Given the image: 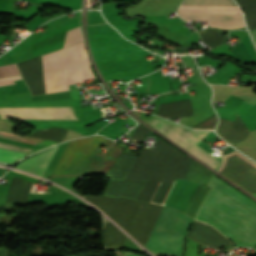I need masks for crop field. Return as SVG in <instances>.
<instances>
[{
  "label": "crop field",
  "instance_id": "27",
  "mask_svg": "<svg viewBox=\"0 0 256 256\" xmlns=\"http://www.w3.org/2000/svg\"><path fill=\"white\" fill-rule=\"evenodd\" d=\"M253 196H255V197H256V194H253Z\"/></svg>",
  "mask_w": 256,
  "mask_h": 256
},
{
  "label": "crop field",
  "instance_id": "19",
  "mask_svg": "<svg viewBox=\"0 0 256 256\" xmlns=\"http://www.w3.org/2000/svg\"><path fill=\"white\" fill-rule=\"evenodd\" d=\"M24 155V153L1 149L0 148V161L12 163L18 157Z\"/></svg>",
  "mask_w": 256,
  "mask_h": 256
},
{
  "label": "crop field",
  "instance_id": "11",
  "mask_svg": "<svg viewBox=\"0 0 256 256\" xmlns=\"http://www.w3.org/2000/svg\"><path fill=\"white\" fill-rule=\"evenodd\" d=\"M57 147L58 146L22 161L16 166V168L34 173L42 177Z\"/></svg>",
  "mask_w": 256,
  "mask_h": 256
},
{
  "label": "crop field",
  "instance_id": "20",
  "mask_svg": "<svg viewBox=\"0 0 256 256\" xmlns=\"http://www.w3.org/2000/svg\"><path fill=\"white\" fill-rule=\"evenodd\" d=\"M151 133L147 128L143 127L142 125H139L134 134L131 137L130 142L132 143H140L143 142L144 135Z\"/></svg>",
  "mask_w": 256,
  "mask_h": 256
},
{
  "label": "crop field",
  "instance_id": "1",
  "mask_svg": "<svg viewBox=\"0 0 256 256\" xmlns=\"http://www.w3.org/2000/svg\"><path fill=\"white\" fill-rule=\"evenodd\" d=\"M208 186L212 189L196 219L215 227L235 246L256 245V204L214 176Z\"/></svg>",
  "mask_w": 256,
  "mask_h": 256
},
{
  "label": "crop field",
  "instance_id": "14",
  "mask_svg": "<svg viewBox=\"0 0 256 256\" xmlns=\"http://www.w3.org/2000/svg\"><path fill=\"white\" fill-rule=\"evenodd\" d=\"M236 2L245 12L249 29H256V0H236Z\"/></svg>",
  "mask_w": 256,
  "mask_h": 256
},
{
  "label": "crop field",
  "instance_id": "16",
  "mask_svg": "<svg viewBox=\"0 0 256 256\" xmlns=\"http://www.w3.org/2000/svg\"><path fill=\"white\" fill-rule=\"evenodd\" d=\"M66 131L67 130L65 129L50 128V129L36 130L31 136L61 142Z\"/></svg>",
  "mask_w": 256,
  "mask_h": 256
},
{
  "label": "crop field",
  "instance_id": "13",
  "mask_svg": "<svg viewBox=\"0 0 256 256\" xmlns=\"http://www.w3.org/2000/svg\"><path fill=\"white\" fill-rule=\"evenodd\" d=\"M178 12L241 13L238 7L180 6Z\"/></svg>",
  "mask_w": 256,
  "mask_h": 256
},
{
  "label": "crop field",
  "instance_id": "24",
  "mask_svg": "<svg viewBox=\"0 0 256 256\" xmlns=\"http://www.w3.org/2000/svg\"><path fill=\"white\" fill-rule=\"evenodd\" d=\"M18 79H21V77L17 76V77L1 78L0 79V86L15 84L13 80H18Z\"/></svg>",
  "mask_w": 256,
  "mask_h": 256
},
{
  "label": "crop field",
  "instance_id": "23",
  "mask_svg": "<svg viewBox=\"0 0 256 256\" xmlns=\"http://www.w3.org/2000/svg\"><path fill=\"white\" fill-rule=\"evenodd\" d=\"M0 137L27 142L22 137L16 136V135L10 134V133L0 132ZM28 143H31V142H28ZM33 144H36V143H33Z\"/></svg>",
  "mask_w": 256,
  "mask_h": 256
},
{
  "label": "crop field",
  "instance_id": "26",
  "mask_svg": "<svg viewBox=\"0 0 256 256\" xmlns=\"http://www.w3.org/2000/svg\"><path fill=\"white\" fill-rule=\"evenodd\" d=\"M126 256H137L135 254H130V253H127Z\"/></svg>",
  "mask_w": 256,
  "mask_h": 256
},
{
  "label": "crop field",
  "instance_id": "18",
  "mask_svg": "<svg viewBox=\"0 0 256 256\" xmlns=\"http://www.w3.org/2000/svg\"><path fill=\"white\" fill-rule=\"evenodd\" d=\"M82 40L83 39L81 35V30H80V27L78 26L76 28H73L67 31L63 47L81 42Z\"/></svg>",
  "mask_w": 256,
  "mask_h": 256
},
{
  "label": "crop field",
  "instance_id": "22",
  "mask_svg": "<svg viewBox=\"0 0 256 256\" xmlns=\"http://www.w3.org/2000/svg\"><path fill=\"white\" fill-rule=\"evenodd\" d=\"M0 147L6 148V149H11V150H16V151H20V152H24V153L33 151V149L19 147V146L10 145V144H5V143H1V142H0Z\"/></svg>",
  "mask_w": 256,
  "mask_h": 256
},
{
  "label": "crop field",
  "instance_id": "4",
  "mask_svg": "<svg viewBox=\"0 0 256 256\" xmlns=\"http://www.w3.org/2000/svg\"><path fill=\"white\" fill-rule=\"evenodd\" d=\"M108 214L119 226L145 245L163 207L130 199L81 196Z\"/></svg>",
  "mask_w": 256,
  "mask_h": 256
},
{
  "label": "crop field",
  "instance_id": "9",
  "mask_svg": "<svg viewBox=\"0 0 256 256\" xmlns=\"http://www.w3.org/2000/svg\"><path fill=\"white\" fill-rule=\"evenodd\" d=\"M184 237L151 234L145 247L154 254L181 256Z\"/></svg>",
  "mask_w": 256,
  "mask_h": 256
},
{
  "label": "crop field",
  "instance_id": "3",
  "mask_svg": "<svg viewBox=\"0 0 256 256\" xmlns=\"http://www.w3.org/2000/svg\"><path fill=\"white\" fill-rule=\"evenodd\" d=\"M113 142L102 136L69 141L51 177L83 176L87 173L106 174L123 149L115 142L104 155L95 150L102 145L108 148Z\"/></svg>",
  "mask_w": 256,
  "mask_h": 256
},
{
  "label": "crop field",
  "instance_id": "7",
  "mask_svg": "<svg viewBox=\"0 0 256 256\" xmlns=\"http://www.w3.org/2000/svg\"><path fill=\"white\" fill-rule=\"evenodd\" d=\"M77 119L72 107L0 108V118Z\"/></svg>",
  "mask_w": 256,
  "mask_h": 256
},
{
  "label": "crop field",
  "instance_id": "21",
  "mask_svg": "<svg viewBox=\"0 0 256 256\" xmlns=\"http://www.w3.org/2000/svg\"><path fill=\"white\" fill-rule=\"evenodd\" d=\"M20 74L15 64L0 66V77L12 76Z\"/></svg>",
  "mask_w": 256,
  "mask_h": 256
},
{
  "label": "crop field",
  "instance_id": "15",
  "mask_svg": "<svg viewBox=\"0 0 256 256\" xmlns=\"http://www.w3.org/2000/svg\"><path fill=\"white\" fill-rule=\"evenodd\" d=\"M201 39L211 48H215L225 42V37L221 32L208 29L205 31L198 32Z\"/></svg>",
  "mask_w": 256,
  "mask_h": 256
},
{
  "label": "crop field",
  "instance_id": "8",
  "mask_svg": "<svg viewBox=\"0 0 256 256\" xmlns=\"http://www.w3.org/2000/svg\"><path fill=\"white\" fill-rule=\"evenodd\" d=\"M192 218L164 207L152 233L185 236Z\"/></svg>",
  "mask_w": 256,
  "mask_h": 256
},
{
  "label": "crop field",
  "instance_id": "2",
  "mask_svg": "<svg viewBox=\"0 0 256 256\" xmlns=\"http://www.w3.org/2000/svg\"><path fill=\"white\" fill-rule=\"evenodd\" d=\"M188 160L158 138L154 151H140L126 180L147 181L137 199L150 202L159 181L184 178Z\"/></svg>",
  "mask_w": 256,
  "mask_h": 256
},
{
  "label": "crop field",
  "instance_id": "12",
  "mask_svg": "<svg viewBox=\"0 0 256 256\" xmlns=\"http://www.w3.org/2000/svg\"><path fill=\"white\" fill-rule=\"evenodd\" d=\"M102 236L104 247L116 249L122 247L127 239L126 235L121 233L113 224L102 216Z\"/></svg>",
  "mask_w": 256,
  "mask_h": 256
},
{
  "label": "crop field",
  "instance_id": "5",
  "mask_svg": "<svg viewBox=\"0 0 256 256\" xmlns=\"http://www.w3.org/2000/svg\"><path fill=\"white\" fill-rule=\"evenodd\" d=\"M69 84L95 79L84 43L63 49ZM63 51L42 55L46 93L69 90Z\"/></svg>",
  "mask_w": 256,
  "mask_h": 256
},
{
  "label": "crop field",
  "instance_id": "25",
  "mask_svg": "<svg viewBox=\"0 0 256 256\" xmlns=\"http://www.w3.org/2000/svg\"><path fill=\"white\" fill-rule=\"evenodd\" d=\"M250 32H251V35H252V37H253L254 43H255V45H256V30H252V31H250Z\"/></svg>",
  "mask_w": 256,
  "mask_h": 256
},
{
  "label": "crop field",
  "instance_id": "6",
  "mask_svg": "<svg viewBox=\"0 0 256 256\" xmlns=\"http://www.w3.org/2000/svg\"><path fill=\"white\" fill-rule=\"evenodd\" d=\"M150 126L216 170L220 161L196 146L209 132L192 131L190 128L157 118Z\"/></svg>",
  "mask_w": 256,
  "mask_h": 256
},
{
  "label": "crop field",
  "instance_id": "10",
  "mask_svg": "<svg viewBox=\"0 0 256 256\" xmlns=\"http://www.w3.org/2000/svg\"><path fill=\"white\" fill-rule=\"evenodd\" d=\"M186 21L209 20L210 27L232 29L245 27L241 15L178 13Z\"/></svg>",
  "mask_w": 256,
  "mask_h": 256
},
{
  "label": "crop field",
  "instance_id": "17",
  "mask_svg": "<svg viewBox=\"0 0 256 256\" xmlns=\"http://www.w3.org/2000/svg\"><path fill=\"white\" fill-rule=\"evenodd\" d=\"M182 5L236 6L233 0H184Z\"/></svg>",
  "mask_w": 256,
  "mask_h": 256
}]
</instances>
